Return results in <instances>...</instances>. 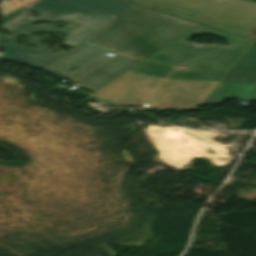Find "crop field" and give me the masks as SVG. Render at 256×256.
Returning <instances> with one entry per match:
<instances>
[{
  "label": "crop field",
  "instance_id": "1",
  "mask_svg": "<svg viewBox=\"0 0 256 256\" xmlns=\"http://www.w3.org/2000/svg\"><path fill=\"white\" fill-rule=\"evenodd\" d=\"M199 25L137 6L43 68L74 81L109 59L108 51L119 54L78 81L94 92Z\"/></svg>",
  "mask_w": 256,
  "mask_h": 256
},
{
  "label": "crop field",
  "instance_id": "2",
  "mask_svg": "<svg viewBox=\"0 0 256 256\" xmlns=\"http://www.w3.org/2000/svg\"><path fill=\"white\" fill-rule=\"evenodd\" d=\"M134 7L135 5L121 0H35L0 18L6 23L12 20L9 18L10 16L17 17L28 8L43 14L37 18L21 16L5 25V28L17 34L11 39L0 37V48L5 49L3 59L43 66L58 55L43 52L46 47L36 37L30 35V32L68 33L65 44L76 45ZM77 18L86 21L76 20ZM31 20L70 21L81 25L73 31L51 27H21ZM20 34L27 36L37 49L12 44L13 40Z\"/></svg>",
  "mask_w": 256,
  "mask_h": 256
},
{
  "label": "crop field",
  "instance_id": "3",
  "mask_svg": "<svg viewBox=\"0 0 256 256\" xmlns=\"http://www.w3.org/2000/svg\"><path fill=\"white\" fill-rule=\"evenodd\" d=\"M200 31L227 40L229 45L193 44L184 41ZM253 41L254 39L201 25L147 60L187 66L186 69L175 68L167 79L221 81Z\"/></svg>",
  "mask_w": 256,
  "mask_h": 256
},
{
  "label": "crop field",
  "instance_id": "4",
  "mask_svg": "<svg viewBox=\"0 0 256 256\" xmlns=\"http://www.w3.org/2000/svg\"><path fill=\"white\" fill-rule=\"evenodd\" d=\"M127 1L243 35L256 24V3L247 0Z\"/></svg>",
  "mask_w": 256,
  "mask_h": 256
},
{
  "label": "crop field",
  "instance_id": "5",
  "mask_svg": "<svg viewBox=\"0 0 256 256\" xmlns=\"http://www.w3.org/2000/svg\"><path fill=\"white\" fill-rule=\"evenodd\" d=\"M217 84L218 82L165 80L145 106L193 110Z\"/></svg>",
  "mask_w": 256,
  "mask_h": 256
},
{
  "label": "crop field",
  "instance_id": "6",
  "mask_svg": "<svg viewBox=\"0 0 256 256\" xmlns=\"http://www.w3.org/2000/svg\"><path fill=\"white\" fill-rule=\"evenodd\" d=\"M161 81L139 74L125 73L89 97L102 102L108 100L120 106H140Z\"/></svg>",
  "mask_w": 256,
  "mask_h": 256
},
{
  "label": "crop field",
  "instance_id": "7",
  "mask_svg": "<svg viewBox=\"0 0 256 256\" xmlns=\"http://www.w3.org/2000/svg\"><path fill=\"white\" fill-rule=\"evenodd\" d=\"M227 98L256 100V83L220 82L200 105L222 104Z\"/></svg>",
  "mask_w": 256,
  "mask_h": 256
},
{
  "label": "crop field",
  "instance_id": "8",
  "mask_svg": "<svg viewBox=\"0 0 256 256\" xmlns=\"http://www.w3.org/2000/svg\"><path fill=\"white\" fill-rule=\"evenodd\" d=\"M222 81L256 82V40Z\"/></svg>",
  "mask_w": 256,
  "mask_h": 256
},
{
  "label": "crop field",
  "instance_id": "9",
  "mask_svg": "<svg viewBox=\"0 0 256 256\" xmlns=\"http://www.w3.org/2000/svg\"><path fill=\"white\" fill-rule=\"evenodd\" d=\"M173 66L144 61L128 72L164 79Z\"/></svg>",
  "mask_w": 256,
  "mask_h": 256
},
{
  "label": "crop field",
  "instance_id": "10",
  "mask_svg": "<svg viewBox=\"0 0 256 256\" xmlns=\"http://www.w3.org/2000/svg\"><path fill=\"white\" fill-rule=\"evenodd\" d=\"M30 1H32V0H23L22 2H18V1H14V0H7V1L3 2L2 4H0V15L3 16Z\"/></svg>",
  "mask_w": 256,
  "mask_h": 256
},
{
  "label": "crop field",
  "instance_id": "11",
  "mask_svg": "<svg viewBox=\"0 0 256 256\" xmlns=\"http://www.w3.org/2000/svg\"><path fill=\"white\" fill-rule=\"evenodd\" d=\"M245 36L256 38V25Z\"/></svg>",
  "mask_w": 256,
  "mask_h": 256
}]
</instances>
